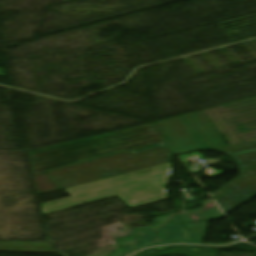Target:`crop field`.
Here are the masks:
<instances>
[{"label": "crop field", "instance_id": "ac0d7876", "mask_svg": "<svg viewBox=\"0 0 256 256\" xmlns=\"http://www.w3.org/2000/svg\"><path fill=\"white\" fill-rule=\"evenodd\" d=\"M136 236L116 239L121 248L110 256H127L146 246L173 243H194L176 214L155 218L153 226L133 230Z\"/></svg>", "mask_w": 256, "mask_h": 256}, {"label": "crop field", "instance_id": "8a807250", "mask_svg": "<svg viewBox=\"0 0 256 256\" xmlns=\"http://www.w3.org/2000/svg\"><path fill=\"white\" fill-rule=\"evenodd\" d=\"M173 153L166 143L46 172L62 189L91 181L171 162Z\"/></svg>", "mask_w": 256, "mask_h": 256}, {"label": "crop field", "instance_id": "dd49c442", "mask_svg": "<svg viewBox=\"0 0 256 256\" xmlns=\"http://www.w3.org/2000/svg\"><path fill=\"white\" fill-rule=\"evenodd\" d=\"M254 102V101H253ZM248 106V105H247ZM244 107V106H243ZM216 108V107H215ZM218 111V110H217ZM220 114V113H219ZM223 118V117H222ZM225 121V120H224ZM230 128V127H229ZM243 128V127H242ZM238 129V128H237ZM242 134V133H241ZM235 135V134H234ZM238 139V138H237ZM241 143V142H240Z\"/></svg>", "mask_w": 256, "mask_h": 256}, {"label": "crop field", "instance_id": "412701ff", "mask_svg": "<svg viewBox=\"0 0 256 256\" xmlns=\"http://www.w3.org/2000/svg\"><path fill=\"white\" fill-rule=\"evenodd\" d=\"M34 181L38 195L60 190L53 181H51L44 173L34 176Z\"/></svg>", "mask_w": 256, "mask_h": 256}, {"label": "crop field", "instance_id": "34b2d1b8", "mask_svg": "<svg viewBox=\"0 0 256 256\" xmlns=\"http://www.w3.org/2000/svg\"><path fill=\"white\" fill-rule=\"evenodd\" d=\"M219 151L231 156L239 164L240 172L256 169V142Z\"/></svg>", "mask_w": 256, "mask_h": 256}, {"label": "crop field", "instance_id": "f4fd0767", "mask_svg": "<svg viewBox=\"0 0 256 256\" xmlns=\"http://www.w3.org/2000/svg\"><path fill=\"white\" fill-rule=\"evenodd\" d=\"M192 131L195 133L199 141L202 143L205 149H216L201 127L193 128Z\"/></svg>", "mask_w": 256, "mask_h": 256}]
</instances>
